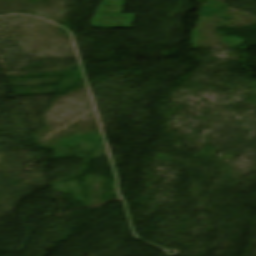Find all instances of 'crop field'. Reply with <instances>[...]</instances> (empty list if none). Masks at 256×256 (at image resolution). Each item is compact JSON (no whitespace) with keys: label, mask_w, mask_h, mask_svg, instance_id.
<instances>
[{"label":"crop field","mask_w":256,"mask_h":256,"mask_svg":"<svg viewBox=\"0 0 256 256\" xmlns=\"http://www.w3.org/2000/svg\"><path fill=\"white\" fill-rule=\"evenodd\" d=\"M125 0H105L91 22L94 28H133L137 14H123Z\"/></svg>","instance_id":"obj_1"}]
</instances>
